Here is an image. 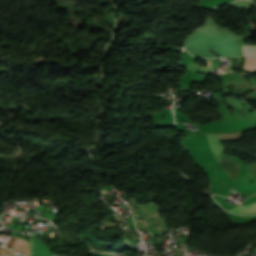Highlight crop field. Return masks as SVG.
<instances>
[{"instance_id":"crop-field-1","label":"crop field","mask_w":256,"mask_h":256,"mask_svg":"<svg viewBox=\"0 0 256 256\" xmlns=\"http://www.w3.org/2000/svg\"><path fill=\"white\" fill-rule=\"evenodd\" d=\"M7 246L17 251H20L26 255H29L28 244L25 241L11 237L10 242Z\"/></svg>"},{"instance_id":"crop-field-2","label":"crop field","mask_w":256,"mask_h":256,"mask_svg":"<svg viewBox=\"0 0 256 256\" xmlns=\"http://www.w3.org/2000/svg\"><path fill=\"white\" fill-rule=\"evenodd\" d=\"M229 211L232 213H252L256 211V203L249 206L235 207Z\"/></svg>"},{"instance_id":"crop-field-3","label":"crop field","mask_w":256,"mask_h":256,"mask_svg":"<svg viewBox=\"0 0 256 256\" xmlns=\"http://www.w3.org/2000/svg\"><path fill=\"white\" fill-rule=\"evenodd\" d=\"M244 69L256 71V57L245 58Z\"/></svg>"},{"instance_id":"crop-field-4","label":"crop field","mask_w":256,"mask_h":256,"mask_svg":"<svg viewBox=\"0 0 256 256\" xmlns=\"http://www.w3.org/2000/svg\"><path fill=\"white\" fill-rule=\"evenodd\" d=\"M244 56H256V46H244Z\"/></svg>"},{"instance_id":"crop-field-5","label":"crop field","mask_w":256,"mask_h":256,"mask_svg":"<svg viewBox=\"0 0 256 256\" xmlns=\"http://www.w3.org/2000/svg\"><path fill=\"white\" fill-rule=\"evenodd\" d=\"M0 252H3L5 256L10 255V254H16V253L9 251L3 247H0Z\"/></svg>"}]
</instances>
